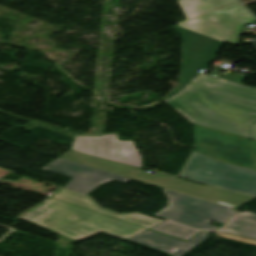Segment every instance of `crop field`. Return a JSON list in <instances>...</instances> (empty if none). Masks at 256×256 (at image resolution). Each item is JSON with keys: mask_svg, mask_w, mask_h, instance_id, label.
I'll use <instances>...</instances> for the list:
<instances>
[{"mask_svg": "<svg viewBox=\"0 0 256 256\" xmlns=\"http://www.w3.org/2000/svg\"><path fill=\"white\" fill-rule=\"evenodd\" d=\"M209 233L207 231H201L195 237H193L188 242H184L178 239H174L159 233H155L149 230H146L138 235H135L127 240L137 242L140 244H145L167 252L173 256H182L200 241H202L205 235Z\"/></svg>", "mask_w": 256, "mask_h": 256, "instance_id": "10", "label": "crop field"}, {"mask_svg": "<svg viewBox=\"0 0 256 256\" xmlns=\"http://www.w3.org/2000/svg\"><path fill=\"white\" fill-rule=\"evenodd\" d=\"M217 235L225 237V238H229V239H232V240H236V241L256 245V241H252V240H248V239H244V238H240V237H236V236L224 235V234H220V233H217Z\"/></svg>", "mask_w": 256, "mask_h": 256, "instance_id": "14", "label": "crop field"}, {"mask_svg": "<svg viewBox=\"0 0 256 256\" xmlns=\"http://www.w3.org/2000/svg\"><path fill=\"white\" fill-rule=\"evenodd\" d=\"M244 5L256 2V0H240Z\"/></svg>", "mask_w": 256, "mask_h": 256, "instance_id": "15", "label": "crop field"}, {"mask_svg": "<svg viewBox=\"0 0 256 256\" xmlns=\"http://www.w3.org/2000/svg\"><path fill=\"white\" fill-rule=\"evenodd\" d=\"M52 198L62 200L77 206H81L99 213H103L118 219H122L137 225H141L147 228H150L162 221L155 220L146 216L139 215L137 213L129 214V215H119L109 211L102 210L94 205L90 198L67 191L62 189L57 194H55Z\"/></svg>", "mask_w": 256, "mask_h": 256, "instance_id": "11", "label": "crop field"}, {"mask_svg": "<svg viewBox=\"0 0 256 256\" xmlns=\"http://www.w3.org/2000/svg\"><path fill=\"white\" fill-rule=\"evenodd\" d=\"M219 232L256 239V215L239 214Z\"/></svg>", "mask_w": 256, "mask_h": 256, "instance_id": "12", "label": "crop field"}, {"mask_svg": "<svg viewBox=\"0 0 256 256\" xmlns=\"http://www.w3.org/2000/svg\"><path fill=\"white\" fill-rule=\"evenodd\" d=\"M163 190L170 205L155 215L194 229L217 230L219 227L208 224L211 220L226 223L236 214L230 207Z\"/></svg>", "mask_w": 256, "mask_h": 256, "instance_id": "6", "label": "crop field"}, {"mask_svg": "<svg viewBox=\"0 0 256 256\" xmlns=\"http://www.w3.org/2000/svg\"><path fill=\"white\" fill-rule=\"evenodd\" d=\"M174 29L183 38L182 69L177 88L163 100L193 124L256 140V124L250 130L256 121V89L240 85L246 77L196 72L208 69L223 43L179 26Z\"/></svg>", "mask_w": 256, "mask_h": 256, "instance_id": "1", "label": "crop field"}, {"mask_svg": "<svg viewBox=\"0 0 256 256\" xmlns=\"http://www.w3.org/2000/svg\"><path fill=\"white\" fill-rule=\"evenodd\" d=\"M43 170L73 178L64 188L87 195L94 188L104 182L116 180L128 182L129 178L94 169L88 166L70 162L64 159H56Z\"/></svg>", "mask_w": 256, "mask_h": 256, "instance_id": "9", "label": "crop field"}, {"mask_svg": "<svg viewBox=\"0 0 256 256\" xmlns=\"http://www.w3.org/2000/svg\"><path fill=\"white\" fill-rule=\"evenodd\" d=\"M49 201L46 207L51 212L34 223L73 240L84 239L100 231L127 239L146 230L52 198Z\"/></svg>", "mask_w": 256, "mask_h": 256, "instance_id": "3", "label": "crop field"}, {"mask_svg": "<svg viewBox=\"0 0 256 256\" xmlns=\"http://www.w3.org/2000/svg\"><path fill=\"white\" fill-rule=\"evenodd\" d=\"M195 152L222 162L254 169L247 139L195 126Z\"/></svg>", "mask_w": 256, "mask_h": 256, "instance_id": "7", "label": "crop field"}, {"mask_svg": "<svg viewBox=\"0 0 256 256\" xmlns=\"http://www.w3.org/2000/svg\"><path fill=\"white\" fill-rule=\"evenodd\" d=\"M150 229L165 233V234H169L184 240H188L189 238H191L193 235H195L197 232V230L191 229V228H187L175 223H171L168 221L162 222Z\"/></svg>", "mask_w": 256, "mask_h": 256, "instance_id": "13", "label": "crop field"}, {"mask_svg": "<svg viewBox=\"0 0 256 256\" xmlns=\"http://www.w3.org/2000/svg\"><path fill=\"white\" fill-rule=\"evenodd\" d=\"M77 163L95 167L101 170L119 174L129 178H136L141 181L156 184L168 189L211 200L221 204L237 207L255 197L231 192L215 187H205L156 173H145L138 167L127 166L91 156L84 155L80 152L70 151L60 157Z\"/></svg>", "mask_w": 256, "mask_h": 256, "instance_id": "4", "label": "crop field"}, {"mask_svg": "<svg viewBox=\"0 0 256 256\" xmlns=\"http://www.w3.org/2000/svg\"><path fill=\"white\" fill-rule=\"evenodd\" d=\"M183 28L237 46L242 27L256 20L236 0H179Z\"/></svg>", "mask_w": 256, "mask_h": 256, "instance_id": "2", "label": "crop field"}, {"mask_svg": "<svg viewBox=\"0 0 256 256\" xmlns=\"http://www.w3.org/2000/svg\"><path fill=\"white\" fill-rule=\"evenodd\" d=\"M252 144H253V149H254V154H255V159H256V141L252 140Z\"/></svg>", "mask_w": 256, "mask_h": 256, "instance_id": "16", "label": "crop field"}, {"mask_svg": "<svg viewBox=\"0 0 256 256\" xmlns=\"http://www.w3.org/2000/svg\"><path fill=\"white\" fill-rule=\"evenodd\" d=\"M179 175L211 186L256 196V171L225 164L195 152Z\"/></svg>", "mask_w": 256, "mask_h": 256, "instance_id": "5", "label": "crop field"}, {"mask_svg": "<svg viewBox=\"0 0 256 256\" xmlns=\"http://www.w3.org/2000/svg\"><path fill=\"white\" fill-rule=\"evenodd\" d=\"M73 150L107 160L142 167L132 140L120 141L117 134H107L101 137L76 136Z\"/></svg>", "mask_w": 256, "mask_h": 256, "instance_id": "8", "label": "crop field"}]
</instances>
